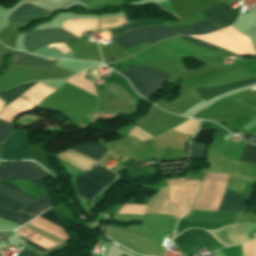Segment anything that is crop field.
<instances>
[{"label": "crop field", "mask_w": 256, "mask_h": 256, "mask_svg": "<svg viewBox=\"0 0 256 256\" xmlns=\"http://www.w3.org/2000/svg\"><path fill=\"white\" fill-rule=\"evenodd\" d=\"M134 26H138V25L130 23V24L126 25V26H123V27H120V28H116V29H112L111 31H112L113 35H115V34H117L119 32L126 31V30H128V29H130V28H132Z\"/></svg>", "instance_id": "crop-field-24"}, {"label": "crop field", "mask_w": 256, "mask_h": 256, "mask_svg": "<svg viewBox=\"0 0 256 256\" xmlns=\"http://www.w3.org/2000/svg\"><path fill=\"white\" fill-rule=\"evenodd\" d=\"M167 2L181 19L220 3L216 0H170Z\"/></svg>", "instance_id": "crop-field-9"}, {"label": "crop field", "mask_w": 256, "mask_h": 256, "mask_svg": "<svg viewBox=\"0 0 256 256\" xmlns=\"http://www.w3.org/2000/svg\"><path fill=\"white\" fill-rule=\"evenodd\" d=\"M37 82L39 81L29 82V83L14 87L12 89H9L6 92H0V99L6 103L5 104L6 106L8 103H10L12 100H14L16 97H18L25 90H27L29 87H31L33 84Z\"/></svg>", "instance_id": "crop-field-18"}, {"label": "crop field", "mask_w": 256, "mask_h": 256, "mask_svg": "<svg viewBox=\"0 0 256 256\" xmlns=\"http://www.w3.org/2000/svg\"><path fill=\"white\" fill-rule=\"evenodd\" d=\"M46 11L24 4L12 13L8 20L16 22H26L42 16Z\"/></svg>", "instance_id": "crop-field-14"}, {"label": "crop field", "mask_w": 256, "mask_h": 256, "mask_svg": "<svg viewBox=\"0 0 256 256\" xmlns=\"http://www.w3.org/2000/svg\"><path fill=\"white\" fill-rule=\"evenodd\" d=\"M172 29L176 30L177 32L183 35H196V34L210 33L214 30H218L219 28H217L210 21L205 19L192 26H184V27L172 28Z\"/></svg>", "instance_id": "crop-field-15"}, {"label": "crop field", "mask_w": 256, "mask_h": 256, "mask_svg": "<svg viewBox=\"0 0 256 256\" xmlns=\"http://www.w3.org/2000/svg\"><path fill=\"white\" fill-rule=\"evenodd\" d=\"M126 76L136 91L148 99L152 93L161 89L164 82L169 78V74L140 66L120 72Z\"/></svg>", "instance_id": "crop-field-1"}, {"label": "crop field", "mask_w": 256, "mask_h": 256, "mask_svg": "<svg viewBox=\"0 0 256 256\" xmlns=\"http://www.w3.org/2000/svg\"><path fill=\"white\" fill-rule=\"evenodd\" d=\"M37 167L30 162L4 163L0 166V178L13 180L45 177L43 172ZM30 181L46 190L42 178L30 179Z\"/></svg>", "instance_id": "crop-field-5"}, {"label": "crop field", "mask_w": 256, "mask_h": 256, "mask_svg": "<svg viewBox=\"0 0 256 256\" xmlns=\"http://www.w3.org/2000/svg\"><path fill=\"white\" fill-rule=\"evenodd\" d=\"M80 176L90 181L91 183L97 185L100 188L107 186L116 177L115 174L99 166H96L95 168ZM81 177L77 176L76 178L75 187L77 193L90 200L95 195H97L102 189L96 187L95 185L91 184L90 182L84 180Z\"/></svg>", "instance_id": "crop-field-3"}, {"label": "crop field", "mask_w": 256, "mask_h": 256, "mask_svg": "<svg viewBox=\"0 0 256 256\" xmlns=\"http://www.w3.org/2000/svg\"><path fill=\"white\" fill-rule=\"evenodd\" d=\"M0 183L19 191L18 189H16L15 187H13L12 185H10L7 182L0 181ZM2 184H0V194L6 196V197H8V198H10V199H12L16 202H19L23 205H25V204L34 200V199H32V198H30L26 195L21 194L22 193L21 191H19V192H21V193H19V192L15 191V190H12V189H10V188L2 185ZM2 195H0V205L1 206H4V207H6V208H8V209H10L14 212H16L21 207H23V205H21L19 203H16V202H14V201H12V200H10V199L2 196Z\"/></svg>", "instance_id": "crop-field-10"}, {"label": "crop field", "mask_w": 256, "mask_h": 256, "mask_svg": "<svg viewBox=\"0 0 256 256\" xmlns=\"http://www.w3.org/2000/svg\"><path fill=\"white\" fill-rule=\"evenodd\" d=\"M163 21H160V20H157V19H143V20H139V21H136L134 23H137L139 25H157L159 23H161Z\"/></svg>", "instance_id": "crop-field-23"}, {"label": "crop field", "mask_w": 256, "mask_h": 256, "mask_svg": "<svg viewBox=\"0 0 256 256\" xmlns=\"http://www.w3.org/2000/svg\"><path fill=\"white\" fill-rule=\"evenodd\" d=\"M71 40H76V38L62 29L57 28L26 33L24 44L25 49L32 52L46 44Z\"/></svg>", "instance_id": "crop-field-7"}, {"label": "crop field", "mask_w": 256, "mask_h": 256, "mask_svg": "<svg viewBox=\"0 0 256 256\" xmlns=\"http://www.w3.org/2000/svg\"><path fill=\"white\" fill-rule=\"evenodd\" d=\"M248 198L226 189L218 211L242 212Z\"/></svg>", "instance_id": "crop-field-13"}, {"label": "crop field", "mask_w": 256, "mask_h": 256, "mask_svg": "<svg viewBox=\"0 0 256 256\" xmlns=\"http://www.w3.org/2000/svg\"><path fill=\"white\" fill-rule=\"evenodd\" d=\"M177 35L178 34L164 26H154L148 28H135L127 33L112 38V40L126 50L142 42L153 44L164 38Z\"/></svg>", "instance_id": "crop-field-2"}, {"label": "crop field", "mask_w": 256, "mask_h": 256, "mask_svg": "<svg viewBox=\"0 0 256 256\" xmlns=\"http://www.w3.org/2000/svg\"><path fill=\"white\" fill-rule=\"evenodd\" d=\"M236 13V11L224 4H219L207 11L201 12L202 15H204L220 29L232 25Z\"/></svg>", "instance_id": "crop-field-11"}, {"label": "crop field", "mask_w": 256, "mask_h": 256, "mask_svg": "<svg viewBox=\"0 0 256 256\" xmlns=\"http://www.w3.org/2000/svg\"><path fill=\"white\" fill-rule=\"evenodd\" d=\"M173 241L189 256L203 246L210 252L223 247L208 232L200 229H189L174 238Z\"/></svg>", "instance_id": "crop-field-4"}, {"label": "crop field", "mask_w": 256, "mask_h": 256, "mask_svg": "<svg viewBox=\"0 0 256 256\" xmlns=\"http://www.w3.org/2000/svg\"><path fill=\"white\" fill-rule=\"evenodd\" d=\"M256 82V77L240 81V82H235V83H230L218 87H212V88H195L197 92L207 101L210 98L217 96L219 94H222L224 92L230 91L232 89H236L239 87L251 85Z\"/></svg>", "instance_id": "crop-field-12"}, {"label": "crop field", "mask_w": 256, "mask_h": 256, "mask_svg": "<svg viewBox=\"0 0 256 256\" xmlns=\"http://www.w3.org/2000/svg\"><path fill=\"white\" fill-rule=\"evenodd\" d=\"M0 158L4 160L31 159L26 132L15 129L5 141Z\"/></svg>", "instance_id": "crop-field-8"}, {"label": "crop field", "mask_w": 256, "mask_h": 256, "mask_svg": "<svg viewBox=\"0 0 256 256\" xmlns=\"http://www.w3.org/2000/svg\"><path fill=\"white\" fill-rule=\"evenodd\" d=\"M181 38H183V39H185V40H187V41H189V42H191V43H193L195 45H198V46H201V47H204V48H207V49H211V50H214V51H216V49H217V47H215V46L206 44L204 42L192 39V38L187 37V36H184V37H181Z\"/></svg>", "instance_id": "crop-field-22"}, {"label": "crop field", "mask_w": 256, "mask_h": 256, "mask_svg": "<svg viewBox=\"0 0 256 256\" xmlns=\"http://www.w3.org/2000/svg\"><path fill=\"white\" fill-rule=\"evenodd\" d=\"M57 61L58 60L35 57L32 55H28V54H24L16 51L10 64L55 66Z\"/></svg>", "instance_id": "crop-field-16"}, {"label": "crop field", "mask_w": 256, "mask_h": 256, "mask_svg": "<svg viewBox=\"0 0 256 256\" xmlns=\"http://www.w3.org/2000/svg\"><path fill=\"white\" fill-rule=\"evenodd\" d=\"M13 128L14 127L12 125L0 121V142L6 139V137L10 134Z\"/></svg>", "instance_id": "crop-field-21"}, {"label": "crop field", "mask_w": 256, "mask_h": 256, "mask_svg": "<svg viewBox=\"0 0 256 256\" xmlns=\"http://www.w3.org/2000/svg\"><path fill=\"white\" fill-rule=\"evenodd\" d=\"M18 256H33V255H30L29 253L25 252L24 250H22Z\"/></svg>", "instance_id": "crop-field-25"}, {"label": "crop field", "mask_w": 256, "mask_h": 256, "mask_svg": "<svg viewBox=\"0 0 256 256\" xmlns=\"http://www.w3.org/2000/svg\"><path fill=\"white\" fill-rule=\"evenodd\" d=\"M51 204L52 201L48 193H45L16 213L0 206V217L22 225L49 208Z\"/></svg>", "instance_id": "crop-field-6"}, {"label": "crop field", "mask_w": 256, "mask_h": 256, "mask_svg": "<svg viewBox=\"0 0 256 256\" xmlns=\"http://www.w3.org/2000/svg\"><path fill=\"white\" fill-rule=\"evenodd\" d=\"M240 160L256 163V146L245 144Z\"/></svg>", "instance_id": "crop-field-19"}, {"label": "crop field", "mask_w": 256, "mask_h": 256, "mask_svg": "<svg viewBox=\"0 0 256 256\" xmlns=\"http://www.w3.org/2000/svg\"><path fill=\"white\" fill-rule=\"evenodd\" d=\"M40 217H42V218H44V219H46V220H48V221H50V222L60 226V227L64 226L62 224V222L57 218V216L52 211H50L49 209L47 211H45L42 215H40ZM25 243L33 246L34 248H36V249H38V250H40L42 252L45 251V249H43V248H41V247H39V246L29 242V241H27Z\"/></svg>", "instance_id": "crop-field-20"}, {"label": "crop field", "mask_w": 256, "mask_h": 256, "mask_svg": "<svg viewBox=\"0 0 256 256\" xmlns=\"http://www.w3.org/2000/svg\"><path fill=\"white\" fill-rule=\"evenodd\" d=\"M95 161L103 156L108 149L104 148L98 142L80 144L74 148H71Z\"/></svg>", "instance_id": "crop-field-17"}]
</instances>
